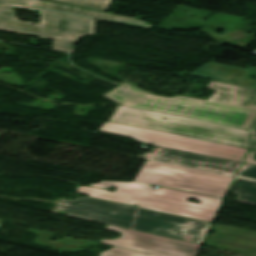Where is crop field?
Returning a JSON list of instances; mask_svg holds the SVG:
<instances>
[{"mask_svg":"<svg viewBox=\"0 0 256 256\" xmlns=\"http://www.w3.org/2000/svg\"><path fill=\"white\" fill-rule=\"evenodd\" d=\"M217 92L207 101L164 98L122 84L103 95L122 105L249 129L256 118V89L213 81Z\"/></svg>","mask_w":256,"mask_h":256,"instance_id":"crop-field-1","label":"crop field"},{"mask_svg":"<svg viewBox=\"0 0 256 256\" xmlns=\"http://www.w3.org/2000/svg\"><path fill=\"white\" fill-rule=\"evenodd\" d=\"M55 213L110 224L144 233L202 244L211 223L157 211L81 198L58 201ZM164 229H180L166 232Z\"/></svg>","mask_w":256,"mask_h":256,"instance_id":"crop-field-2","label":"crop field"},{"mask_svg":"<svg viewBox=\"0 0 256 256\" xmlns=\"http://www.w3.org/2000/svg\"><path fill=\"white\" fill-rule=\"evenodd\" d=\"M87 186L108 189L118 187L115 193L107 190L77 186L78 193L89 194V197L114 201L119 203L138 205L141 208L157 210L166 213L212 222L223 199L190 192L133 181L110 182L102 181L99 184ZM188 197L200 201V204L188 202Z\"/></svg>","mask_w":256,"mask_h":256,"instance_id":"crop-field-3","label":"crop field"},{"mask_svg":"<svg viewBox=\"0 0 256 256\" xmlns=\"http://www.w3.org/2000/svg\"><path fill=\"white\" fill-rule=\"evenodd\" d=\"M165 118L166 120H163ZM113 122L249 148L248 130L118 105Z\"/></svg>","mask_w":256,"mask_h":256,"instance_id":"crop-field-4","label":"crop field"},{"mask_svg":"<svg viewBox=\"0 0 256 256\" xmlns=\"http://www.w3.org/2000/svg\"><path fill=\"white\" fill-rule=\"evenodd\" d=\"M12 6L13 4L0 2V30L39 35V38L55 39L53 41L54 50L73 53V44L81 36L94 34V20L92 19L40 10V24L25 22L16 19V11L11 9Z\"/></svg>","mask_w":256,"mask_h":256,"instance_id":"crop-field-5","label":"crop field"},{"mask_svg":"<svg viewBox=\"0 0 256 256\" xmlns=\"http://www.w3.org/2000/svg\"><path fill=\"white\" fill-rule=\"evenodd\" d=\"M233 178L146 160L135 180L224 198Z\"/></svg>","mask_w":256,"mask_h":256,"instance_id":"crop-field-6","label":"crop field"},{"mask_svg":"<svg viewBox=\"0 0 256 256\" xmlns=\"http://www.w3.org/2000/svg\"><path fill=\"white\" fill-rule=\"evenodd\" d=\"M141 157L167 161L235 175L241 162L155 146ZM230 191L239 194L238 201L256 204V165L243 163Z\"/></svg>","mask_w":256,"mask_h":256,"instance_id":"crop-field-7","label":"crop field"},{"mask_svg":"<svg viewBox=\"0 0 256 256\" xmlns=\"http://www.w3.org/2000/svg\"><path fill=\"white\" fill-rule=\"evenodd\" d=\"M100 131L131 136L138 142L241 161L248 149L105 121Z\"/></svg>","mask_w":256,"mask_h":256,"instance_id":"crop-field-8","label":"crop field"},{"mask_svg":"<svg viewBox=\"0 0 256 256\" xmlns=\"http://www.w3.org/2000/svg\"><path fill=\"white\" fill-rule=\"evenodd\" d=\"M106 229L122 232L123 235L119 239H101V243L159 256H195L201 246L199 244L144 234L110 225H107Z\"/></svg>","mask_w":256,"mask_h":256,"instance_id":"crop-field-9","label":"crop field"},{"mask_svg":"<svg viewBox=\"0 0 256 256\" xmlns=\"http://www.w3.org/2000/svg\"><path fill=\"white\" fill-rule=\"evenodd\" d=\"M3 1L30 5V6H35L39 8L48 9V10L69 13V14H74V15H79L84 17H90L95 19L109 20L113 22L134 25L142 28H149L151 26V24L141 21L139 19H136L134 17L92 11V10L66 6V5L44 1V0H3Z\"/></svg>","mask_w":256,"mask_h":256,"instance_id":"crop-field-10","label":"crop field"},{"mask_svg":"<svg viewBox=\"0 0 256 256\" xmlns=\"http://www.w3.org/2000/svg\"><path fill=\"white\" fill-rule=\"evenodd\" d=\"M222 66V64L209 62L202 67L192 71L188 75L256 88V81H249L245 79L246 76L251 72V70L239 68L236 72L240 76L238 78H235L229 72L220 71L219 68ZM240 70H242V72H239Z\"/></svg>","mask_w":256,"mask_h":256,"instance_id":"crop-field-11","label":"crop field"},{"mask_svg":"<svg viewBox=\"0 0 256 256\" xmlns=\"http://www.w3.org/2000/svg\"><path fill=\"white\" fill-rule=\"evenodd\" d=\"M28 231L37 233L38 236L40 237L35 239V243L52 247L53 251L76 252L81 249L80 248L81 246H85L87 244H92L96 246L99 245V243H94L89 241H80V240H74V239H68V238H63L57 242H53V241H49L52 236L51 233L33 230V229H29Z\"/></svg>","mask_w":256,"mask_h":256,"instance_id":"crop-field-12","label":"crop field"},{"mask_svg":"<svg viewBox=\"0 0 256 256\" xmlns=\"http://www.w3.org/2000/svg\"><path fill=\"white\" fill-rule=\"evenodd\" d=\"M51 1L85 6V7H90V8L104 10V11H107V9L109 8L112 2V0H51Z\"/></svg>","mask_w":256,"mask_h":256,"instance_id":"crop-field-13","label":"crop field"},{"mask_svg":"<svg viewBox=\"0 0 256 256\" xmlns=\"http://www.w3.org/2000/svg\"><path fill=\"white\" fill-rule=\"evenodd\" d=\"M99 256H154V255L135 252V251L113 246L110 250L102 252Z\"/></svg>","mask_w":256,"mask_h":256,"instance_id":"crop-field-14","label":"crop field"},{"mask_svg":"<svg viewBox=\"0 0 256 256\" xmlns=\"http://www.w3.org/2000/svg\"><path fill=\"white\" fill-rule=\"evenodd\" d=\"M245 162L256 164V151L250 150Z\"/></svg>","mask_w":256,"mask_h":256,"instance_id":"crop-field-15","label":"crop field"},{"mask_svg":"<svg viewBox=\"0 0 256 256\" xmlns=\"http://www.w3.org/2000/svg\"><path fill=\"white\" fill-rule=\"evenodd\" d=\"M251 148L256 149V132L250 131Z\"/></svg>","mask_w":256,"mask_h":256,"instance_id":"crop-field-16","label":"crop field"},{"mask_svg":"<svg viewBox=\"0 0 256 256\" xmlns=\"http://www.w3.org/2000/svg\"><path fill=\"white\" fill-rule=\"evenodd\" d=\"M144 159H146V158H144ZM149 160H151V159H149ZM154 161H156V160H154ZM159 162H161V161H159ZM164 163H167V162H164ZM170 164H172V163H170ZM175 165H177V164H175ZM180 166H182V165H180ZM185 167H187V166H185ZM189 168H192V167H189ZM194 169H197V168H194ZM200 170H202V169H200ZM205 171H207V170H205ZM210 172H213V171H210ZM216 173H218V172H216ZM221 174H223V173H221ZM226 175H228V174H226Z\"/></svg>","mask_w":256,"mask_h":256,"instance_id":"crop-field-17","label":"crop field"},{"mask_svg":"<svg viewBox=\"0 0 256 256\" xmlns=\"http://www.w3.org/2000/svg\"><path fill=\"white\" fill-rule=\"evenodd\" d=\"M250 130H255L256 131V123H255V125Z\"/></svg>","mask_w":256,"mask_h":256,"instance_id":"crop-field-18","label":"crop field"}]
</instances>
